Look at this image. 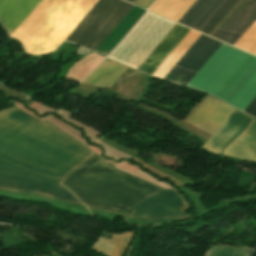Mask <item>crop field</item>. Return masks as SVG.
Returning a JSON list of instances; mask_svg holds the SVG:
<instances>
[{
	"label": "crop field",
	"mask_w": 256,
	"mask_h": 256,
	"mask_svg": "<svg viewBox=\"0 0 256 256\" xmlns=\"http://www.w3.org/2000/svg\"><path fill=\"white\" fill-rule=\"evenodd\" d=\"M47 120L12 107L0 112V158L55 180L94 154Z\"/></svg>",
	"instance_id": "crop-field-1"
},
{
	"label": "crop field",
	"mask_w": 256,
	"mask_h": 256,
	"mask_svg": "<svg viewBox=\"0 0 256 256\" xmlns=\"http://www.w3.org/2000/svg\"><path fill=\"white\" fill-rule=\"evenodd\" d=\"M86 206L105 210H124L146 197L164 190L113 168L97 154L63 182Z\"/></svg>",
	"instance_id": "crop-field-2"
},
{
	"label": "crop field",
	"mask_w": 256,
	"mask_h": 256,
	"mask_svg": "<svg viewBox=\"0 0 256 256\" xmlns=\"http://www.w3.org/2000/svg\"><path fill=\"white\" fill-rule=\"evenodd\" d=\"M187 86L244 111L256 97V57L222 43ZM244 112L256 117V98Z\"/></svg>",
	"instance_id": "crop-field-3"
},
{
	"label": "crop field",
	"mask_w": 256,
	"mask_h": 256,
	"mask_svg": "<svg viewBox=\"0 0 256 256\" xmlns=\"http://www.w3.org/2000/svg\"><path fill=\"white\" fill-rule=\"evenodd\" d=\"M97 0H41L11 37L21 41L26 52L53 51L71 33Z\"/></svg>",
	"instance_id": "crop-field-4"
},
{
	"label": "crop field",
	"mask_w": 256,
	"mask_h": 256,
	"mask_svg": "<svg viewBox=\"0 0 256 256\" xmlns=\"http://www.w3.org/2000/svg\"><path fill=\"white\" fill-rule=\"evenodd\" d=\"M132 7L122 0H98L65 39L95 51Z\"/></svg>",
	"instance_id": "crop-field-5"
},
{
	"label": "crop field",
	"mask_w": 256,
	"mask_h": 256,
	"mask_svg": "<svg viewBox=\"0 0 256 256\" xmlns=\"http://www.w3.org/2000/svg\"><path fill=\"white\" fill-rule=\"evenodd\" d=\"M0 189L30 192L82 204L72 193L57 182L2 160H0Z\"/></svg>",
	"instance_id": "crop-field-6"
},
{
	"label": "crop field",
	"mask_w": 256,
	"mask_h": 256,
	"mask_svg": "<svg viewBox=\"0 0 256 256\" xmlns=\"http://www.w3.org/2000/svg\"><path fill=\"white\" fill-rule=\"evenodd\" d=\"M256 20V0H242L212 37L232 46ZM235 47L256 55V21Z\"/></svg>",
	"instance_id": "crop-field-7"
},
{
	"label": "crop field",
	"mask_w": 256,
	"mask_h": 256,
	"mask_svg": "<svg viewBox=\"0 0 256 256\" xmlns=\"http://www.w3.org/2000/svg\"><path fill=\"white\" fill-rule=\"evenodd\" d=\"M185 201L176 189L164 190L128 208L129 217L143 220L187 218Z\"/></svg>",
	"instance_id": "crop-field-8"
},
{
	"label": "crop field",
	"mask_w": 256,
	"mask_h": 256,
	"mask_svg": "<svg viewBox=\"0 0 256 256\" xmlns=\"http://www.w3.org/2000/svg\"><path fill=\"white\" fill-rule=\"evenodd\" d=\"M220 44L221 42L201 34L169 72L182 78L167 74L164 79L186 86ZM179 79L186 83L178 81Z\"/></svg>",
	"instance_id": "crop-field-9"
},
{
	"label": "crop field",
	"mask_w": 256,
	"mask_h": 256,
	"mask_svg": "<svg viewBox=\"0 0 256 256\" xmlns=\"http://www.w3.org/2000/svg\"><path fill=\"white\" fill-rule=\"evenodd\" d=\"M233 111L207 96L185 121L213 134Z\"/></svg>",
	"instance_id": "crop-field-10"
},
{
	"label": "crop field",
	"mask_w": 256,
	"mask_h": 256,
	"mask_svg": "<svg viewBox=\"0 0 256 256\" xmlns=\"http://www.w3.org/2000/svg\"><path fill=\"white\" fill-rule=\"evenodd\" d=\"M251 119L235 110L202 148L219 154L228 143L244 130Z\"/></svg>",
	"instance_id": "crop-field-11"
},
{
	"label": "crop field",
	"mask_w": 256,
	"mask_h": 256,
	"mask_svg": "<svg viewBox=\"0 0 256 256\" xmlns=\"http://www.w3.org/2000/svg\"><path fill=\"white\" fill-rule=\"evenodd\" d=\"M189 31L190 29L176 24L154 49V51L147 57V59L140 65L138 70L152 75Z\"/></svg>",
	"instance_id": "crop-field-12"
},
{
	"label": "crop field",
	"mask_w": 256,
	"mask_h": 256,
	"mask_svg": "<svg viewBox=\"0 0 256 256\" xmlns=\"http://www.w3.org/2000/svg\"><path fill=\"white\" fill-rule=\"evenodd\" d=\"M39 1L40 0H0V21L9 36Z\"/></svg>",
	"instance_id": "crop-field-13"
},
{
	"label": "crop field",
	"mask_w": 256,
	"mask_h": 256,
	"mask_svg": "<svg viewBox=\"0 0 256 256\" xmlns=\"http://www.w3.org/2000/svg\"><path fill=\"white\" fill-rule=\"evenodd\" d=\"M223 154L256 162V120L252 119L249 126L226 147Z\"/></svg>",
	"instance_id": "crop-field-14"
},
{
	"label": "crop field",
	"mask_w": 256,
	"mask_h": 256,
	"mask_svg": "<svg viewBox=\"0 0 256 256\" xmlns=\"http://www.w3.org/2000/svg\"><path fill=\"white\" fill-rule=\"evenodd\" d=\"M223 0H196L178 23L198 30Z\"/></svg>",
	"instance_id": "crop-field-15"
},
{
	"label": "crop field",
	"mask_w": 256,
	"mask_h": 256,
	"mask_svg": "<svg viewBox=\"0 0 256 256\" xmlns=\"http://www.w3.org/2000/svg\"><path fill=\"white\" fill-rule=\"evenodd\" d=\"M126 69L127 67L106 59L82 83L110 87Z\"/></svg>",
	"instance_id": "crop-field-16"
},
{
	"label": "crop field",
	"mask_w": 256,
	"mask_h": 256,
	"mask_svg": "<svg viewBox=\"0 0 256 256\" xmlns=\"http://www.w3.org/2000/svg\"><path fill=\"white\" fill-rule=\"evenodd\" d=\"M134 232H124L122 235H113L111 240L100 238L92 249L106 256H121Z\"/></svg>",
	"instance_id": "crop-field-17"
},
{
	"label": "crop field",
	"mask_w": 256,
	"mask_h": 256,
	"mask_svg": "<svg viewBox=\"0 0 256 256\" xmlns=\"http://www.w3.org/2000/svg\"><path fill=\"white\" fill-rule=\"evenodd\" d=\"M241 0H224L199 31L211 36Z\"/></svg>",
	"instance_id": "crop-field-18"
},
{
	"label": "crop field",
	"mask_w": 256,
	"mask_h": 256,
	"mask_svg": "<svg viewBox=\"0 0 256 256\" xmlns=\"http://www.w3.org/2000/svg\"><path fill=\"white\" fill-rule=\"evenodd\" d=\"M199 35H200V33L191 30L189 32V34L182 40V42L175 48V50L169 55V57L162 63V65L155 71L153 76L163 78L165 76V74L177 62V60L184 54V52L198 38Z\"/></svg>",
	"instance_id": "crop-field-19"
},
{
	"label": "crop field",
	"mask_w": 256,
	"mask_h": 256,
	"mask_svg": "<svg viewBox=\"0 0 256 256\" xmlns=\"http://www.w3.org/2000/svg\"><path fill=\"white\" fill-rule=\"evenodd\" d=\"M251 249L213 246L205 256H248Z\"/></svg>",
	"instance_id": "crop-field-20"
},
{
	"label": "crop field",
	"mask_w": 256,
	"mask_h": 256,
	"mask_svg": "<svg viewBox=\"0 0 256 256\" xmlns=\"http://www.w3.org/2000/svg\"><path fill=\"white\" fill-rule=\"evenodd\" d=\"M153 1L154 0H137L135 4L147 9Z\"/></svg>",
	"instance_id": "crop-field-21"
},
{
	"label": "crop field",
	"mask_w": 256,
	"mask_h": 256,
	"mask_svg": "<svg viewBox=\"0 0 256 256\" xmlns=\"http://www.w3.org/2000/svg\"><path fill=\"white\" fill-rule=\"evenodd\" d=\"M127 1H130V2L134 3L136 0H127Z\"/></svg>",
	"instance_id": "crop-field-22"
}]
</instances>
